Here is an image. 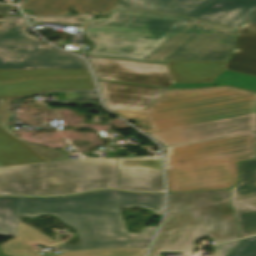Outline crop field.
<instances>
[{"label":"crop field","instance_id":"obj_1","mask_svg":"<svg viewBox=\"0 0 256 256\" xmlns=\"http://www.w3.org/2000/svg\"><path fill=\"white\" fill-rule=\"evenodd\" d=\"M106 23H103V21ZM235 29L180 16L117 8L88 20L87 55L166 64L169 60L228 61Z\"/></svg>","mask_w":256,"mask_h":256},{"label":"crop field","instance_id":"obj_2","mask_svg":"<svg viewBox=\"0 0 256 256\" xmlns=\"http://www.w3.org/2000/svg\"><path fill=\"white\" fill-rule=\"evenodd\" d=\"M138 205L163 213V194H142L113 190L95 191L73 197H0V234L14 235L29 245L53 246L58 242L19 221L29 207L53 214L80 235L81 244L58 246L62 251L110 247L147 248L157 227H144L139 234L127 233L122 207Z\"/></svg>","mask_w":256,"mask_h":256},{"label":"crop field","instance_id":"obj_3","mask_svg":"<svg viewBox=\"0 0 256 256\" xmlns=\"http://www.w3.org/2000/svg\"><path fill=\"white\" fill-rule=\"evenodd\" d=\"M146 133L256 114V92L227 86L169 89L145 111H113Z\"/></svg>","mask_w":256,"mask_h":256},{"label":"crop field","instance_id":"obj_4","mask_svg":"<svg viewBox=\"0 0 256 256\" xmlns=\"http://www.w3.org/2000/svg\"><path fill=\"white\" fill-rule=\"evenodd\" d=\"M228 196L229 189L169 194V213L148 256H161V251L191 254L195 242L206 236L218 242L240 237Z\"/></svg>","mask_w":256,"mask_h":256},{"label":"crop field","instance_id":"obj_5","mask_svg":"<svg viewBox=\"0 0 256 256\" xmlns=\"http://www.w3.org/2000/svg\"><path fill=\"white\" fill-rule=\"evenodd\" d=\"M255 147L256 132L166 148L169 192L233 185L238 180L236 162L255 158Z\"/></svg>","mask_w":256,"mask_h":256},{"label":"crop field","instance_id":"obj_6","mask_svg":"<svg viewBox=\"0 0 256 256\" xmlns=\"http://www.w3.org/2000/svg\"><path fill=\"white\" fill-rule=\"evenodd\" d=\"M100 187L119 188L116 159L0 168V194H67Z\"/></svg>","mask_w":256,"mask_h":256},{"label":"crop field","instance_id":"obj_7","mask_svg":"<svg viewBox=\"0 0 256 256\" xmlns=\"http://www.w3.org/2000/svg\"><path fill=\"white\" fill-rule=\"evenodd\" d=\"M95 89L91 77L30 79L0 83V98L21 97L53 90ZM0 106V166L68 159L66 153L28 143L11 133L5 122L10 118V104Z\"/></svg>","mask_w":256,"mask_h":256},{"label":"crop field","instance_id":"obj_8","mask_svg":"<svg viewBox=\"0 0 256 256\" xmlns=\"http://www.w3.org/2000/svg\"><path fill=\"white\" fill-rule=\"evenodd\" d=\"M23 18L7 16L0 23V68H87L83 60L55 48L40 46L42 40L28 32Z\"/></svg>","mask_w":256,"mask_h":256},{"label":"crop field","instance_id":"obj_9","mask_svg":"<svg viewBox=\"0 0 256 256\" xmlns=\"http://www.w3.org/2000/svg\"><path fill=\"white\" fill-rule=\"evenodd\" d=\"M116 6L172 12L235 28L256 12V0H119Z\"/></svg>","mask_w":256,"mask_h":256},{"label":"crop field","instance_id":"obj_10","mask_svg":"<svg viewBox=\"0 0 256 256\" xmlns=\"http://www.w3.org/2000/svg\"><path fill=\"white\" fill-rule=\"evenodd\" d=\"M90 61L99 79L168 88L175 83L166 66L103 58Z\"/></svg>","mask_w":256,"mask_h":256},{"label":"crop field","instance_id":"obj_11","mask_svg":"<svg viewBox=\"0 0 256 256\" xmlns=\"http://www.w3.org/2000/svg\"><path fill=\"white\" fill-rule=\"evenodd\" d=\"M256 131V115L150 133L165 146Z\"/></svg>","mask_w":256,"mask_h":256},{"label":"crop field","instance_id":"obj_12","mask_svg":"<svg viewBox=\"0 0 256 256\" xmlns=\"http://www.w3.org/2000/svg\"><path fill=\"white\" fill-rule=\"evenodd\" d=\"M239 166L241 183L232 188L231 203L245 237L256 234V160Z\"/></svg>","mask_w":256,"mask_h":256},{"label":"crop field","instance_id":"obj_13","mask_svg":"<svg viewBox=\"0 0 256 256\" xmlns=\"http://www.w3.org/2000/svg\"><path fill=\"white\" fill-rule=\"evenodd\" d=\"M120 188L140 191H162L160 158L117 159Z\"/></svg>","mask_w":256,"mask_h":256},{"label":"crop field","instance_id":"obj_14","mask_svg":"<svg viewBox=\"0 0 256 256\" xmlns=\"http://www.w3.org/2000/svg\"><path fill=\"white\" fill-rule=\"evenodd\" d=\"M109 110H145L166 89L98 81Z\"/></svg>","mask_w":256,"mask_h":256},{"label":"crop field","instance_id":"obj_15","mask_svg":"<svg viewBox=\"0 0 256 256\" xmlns=\"http://www.w3.org/2000/svg\"><path fill=\"white\" fill-rule=\"evenodd\" d=\"M226 69L256 76V23H247L237 30Z\"/></svg>","mask_w":256,"mask_h":256},{"label":"crop field","instance_id":"obj_16","mask_svg":"<svg viewBox=\"0 0 256 256\" xmlns=\"http://www.w3.org/2000/svg\"><path fill=\"white\" fill-rule=\"evenodd\" d=\"M117 0H26L22 8L26 14L32 16L61 14L69 6L74 10L83 12H107L113 8ZM35 2V4H31ZM30 5V8H26Z\"/></svg>","mask_w":256,"mask_h":256},{"label":"crop field","instance_id":"obj_17","mask_svg":"<svg viewBox=\"0 0 256 256\" xmlns=\"http://www.w3.org/2000/svg\"><path fill=\"white\" fill-rule=\"evenodd\" d=\"M227 62L169 61L168 66L177 82H212Z\"/></svg>","mask_w":256,"mask_h":256},{"label":"crop field","instance_id":"obj_18","mask_svg":"<svg viewBox=\"0 0 256 256\" xmlns=\"http://www.w3.org/2000/svg\"><path fill=\"white\" fill-rule=\"evenodd\" d=\"M2 252L10 256H42L39 251L21 240L8 242L0 245ZM146 250L139 249H116L103 251L64 253L55 256H144Z\"/></svg>","mask_w":256,"mask_h":256},{"label":"crop field","instance_id":"obj_19","mask_svg":"<svg viewBox=\"0 0 256 256\" xmlns=\"http://www.w3.org/2000/svg\"><path fill=\"white\" fill-rule=\"evenodd\" d=\"M213 83L227 84L240 88L256 90V77L224 70L212 83H175L171 88L207 87Z\"/></svg>","mask_w":256,"mask_h":256},{"label":"crop field","instance_id":"obj_20","mask_svg":"<svg viewBox=\"0 0 256 256\" xmlns=\"http://www.w3.org/2000/svg\"><path fill=\"white\" fill-rule=\"evenodd\" d=\"M90 75L87 69H59V70H2L0 81H9L21 78L51 77V76H78Z\"/></svg>","mask_w":256,"mask_h":256},{"label":"crop field","instance_id":"obj_21","mask_svg":"<svg viewBox=\"0 0 256 256\" xmlns=\"http://www.w3.org/2000/svg\"><path fill=\"white\" fill-rule=\"evenodd\" d=\"M229 256H256V236L243 239Z\"/></svg>","mask_w":256,"mask_h":256},{"label":"crop field","instance_id":"obj_22","mask_svg":"<svg viewBox=\"0 0 256 256\" xmlns=\"http://www.w3.org/2000/svg\"><path fill=\"white\" fill-rule=\"evenodd\" d=\"M73 18H85L82 16H76V17H67V16H54V17H41V18H35L34 21L36 22H47V23H58V24H66L71 25L74 23H81L83 24V21L73 20Z\"/></svg>","mask_w":256,"mask_h":256},{"label":"crop field","instance_id":"obj_23","mask_svg":"<svg viewBox=\"0 0 256 256\" xmlns=\"http://www.w3.org/2000/svg\"><path fill=\"white\" fill-rule=\"evenodd\" d=\"M69 100L98 99L96 91L65 92Z\"/></svg>","mask_w":256,"mask_h":256},{"label":"crop field","instance_id":"obj_24","mask_svg":"<svg viewBox=\"0 0 256 256\" xmlns=\"http://www.w3.org/2000/svg\"><path fill=\"white\" fill-rule=\"evenodd\" d=\"M240 240L214 246V256H227Z\"/></svg>","mask_w":256,"mask_h":256},{"label":"crop field","instance_id":"obj_25","mask_svg":"<svg viewBox=\"0 0 256 256\" xmlns=\"http://www.w3.org/2000/svg\"><path fill=\"white\" fill-rule=\"evenodd\" d=\"M40 214H43L42 211L40 209L35 208H29L28 212L26 213V215L28 216H35Z\"/></svg>","mask_w":256,"mask_h":256},{"label":"crop field","instance_id":"obj_26","mask_svg":"<svg viewBox=\"0 0 256 256\" xmlns=\"http://www.w3.org/2000/svg\"><path fill=\"white\" fill-rule=\"evenodd\" d=\"M12 6L0 4V15H5Z\"/></svg>","mask_w":256,"mask_h":256},{"label":"crop field","instance_id":"obj_27","mask_svg":"<svg viewBox=\"0 0 256 256\" xmlns=\"http://www.w3.org/2000/svg\"><path fill=\"white\" fill-rule=\"evenodd\" d=\"M246 22H256V13L250 17Z\"/></svg>","mask_w":256,"mask_h":256},{"label":"crop field","instance_id":"obj_28","mask_svg":"<svg viewBox=\"0 0 256 256\" xmlns=\"http://www.w3.org/2000/svg\"><path fill=\"white\" fill-rule=\"evenodd\" d=\"M5 99H0V105L2 104V102L4 101Z\"/></svg>","mask_w":256,"mask_h":256},{"label":"crop field","instance_id":"obj_29","mask_svg":"<svg viewBox=\"0 0 256 256\" xmlns=\"http://www.w3.org/2000/svg\"><path fill=\"white\" fill-rule=\"evenodd\" d=\"M18 238L14 239V240H17Z\"/></svg>","mask_w":256,"mask_h":256}]
</instances>
